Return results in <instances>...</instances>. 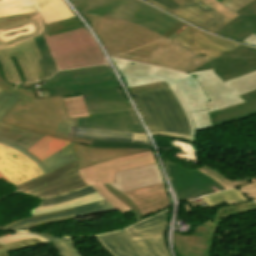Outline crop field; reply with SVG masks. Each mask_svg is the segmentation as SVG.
Returning a JSON list of instances; mask_svg holds the SVG:
<instances>
[{"mask_svg":"<svg viewBox=\"0 0 256 256\" xmlns=\"http://www.w3.org/2000/svg\"><path fill=\"white\" fill-rule=\"evenodd\" d=\"M108 54L186 73L209 62L170 40L187 24L179 21L164 36L122 20L84 15Z\"/></svg>","mask_w":256,"mask_h":256,"instance_id":"obj_1","label":"crop field"},{"mask_svg":"<svg viewBox=\"0 0 256 256\" xmlns=\"http://www.w3.org/2000/svg\"><path fill=\"white\" fill-rule=\"evenodd\" d=\"M111 59L127 87L166 81L176 96L201 85L210 101L207 103L208 110L190 113L195 125V140L197 130L212 127L210 112L245 102L238 95L256 89V71L223 82L213 69L185 74L152 65L112 57ZM191 74H196V79L191 77Z\"/></svg>","mask_w":256,"mask_h":256,"instance_id":"obj_2","label":"crop field"},{"mask_svg":"<svg viewBox=\"0 0 256 256\" xmlns=\"http://www.w3.org/2000/svg\"><path fill=\"white\" fill-rule=\"evenodd\" d=\"M78 20L47 29L40 14L31 13L0 19V89L10 93L22 82L10 57H15L26 82L45 79L37 60L42 59L34 37L82 28Z\"/></svg>","mask_w":256,"mask_h":256,"instance_id":"obj_3","label":"crop field"},{"mask_svg":"<svg viewBox=\"0 0 256 256\" xmlns=\"http://www.w3.org/2000/svg\"><path fill=\"white\" fill-rule=\"evenodd\" d=\"M13 92L23 97L0 122L91 147L92 140L74 138L78 118H68L61 96L36 99L33 91L19 87H16Z\"/></svg>","mask_w":256,"mask_h":256,"instance_id":"obj_4","label":"crop field"},{"mask_svg":"<svg viewBox=\"0 0 256 256\" xmlns=\"http://www.w3.org/2000/svg\"><path fill=\"white\" fill-rule=\"evenodd\" d=\"M152 134H169L189 139L186 113L166 82L128 88Z\"/></svg>","mask_w":256,"mask_h":256,"instance_id":"obj_5","label":"crop field"},{"mask_svg":"<svg viewBox=\"0 0 256 256\" xmlns=\"http://www.w3.org/2000/svg\"><path fill=\"white\" fill-rule=\"evenodd\" d=\"M84 14L122 19L164 35L178 20L138 0H71Z\"/></svg>","mask_w":256,"mask_h":256,"instance_id":"obj_6","label":"crop field"},{"mask_svg":"<svg viewBox=\"0 0 256 256\" xmlns=\"http://www.w3.org/2000/svg\"><path fill=\"white\" fill-rule=\"evenodd\" d=\"M44 37L59 70L106 63L101 49L85 28Z\"/></svg>","mask_w":256,"mask_h":256,"instance_id":"obj_7","label":"crop field"},{"mask_svg":"<svg viewBox=\"0 0 256 256\" xmlns=\"http://www.w3.org/2000/svg\"><path fill=\"white\" fill-rule=\"evenodd\" d=\"M157 163L152 152L126 156L80 170L81 179L91 185L107 202L120 212L129 210L124 203L110 193L102 184L113 182L115 172Z\"/></svg>","mask_w":256,"mask_h":256,"instance_id":"obj_8","label":"crop field"},{"mask_svg":"<svg viewBox=\"0 0 256 256\" xmlns=\"http://www.w3.org/2000/svg\"><path fill=\"white\" fill-rule=\"evenodd\" d=\"M83 186L86 184L79 177L76 160L17 188L18 191L35 197H46Z\"/></svg>","mask_w":256,"mask_h":256,"instance_id":"obj_9","label":"crop field"},{"mask_svg":"<svg viewBox=\"0 0 256 256\" xmlns=\"http://www.w3.org/2000/svg\"><path fill=\"white\" fill-rule=\"evenodd\" d=\"M165 166L176 196L181 202L225 190L220 184L197 170L190 172L168 161Z\"/></svg>","mask_w":256,"mask_h":256,"instance_id":"obj_10","label":"crop field"},{"mask_svg":"<svg viewBox=\"0 0 256 256\" xmlns=\"http://www.w3.org/2000/svg\"><path fill=\"white\" fill-rule=\"evenodd\" d=\"M49 85L48 91L53 96L70 95V87L116 82L112 71L108 65H101L96 67L83 68L78 70L60 71L52 78L47 79Z\"/></svg>","mask_w":256,"mask_h":256,"instance_id":"obj_11","label":"crop field"},{"mask_svg":"<svg viewBox=\"0 0 256 256\" xmlns=\"http://www.w3.org/2000/svg\"><path fill=\"white\" fill-rule=\"evenodd\" d=\"M115 256H166L159 236L132 239L126 230L98 236Z\"/></svg>","mask_w":256,"mask_h":256,"instance_id":"obj_12","label":"crop field"},{"mask_svg":"<svg viewBox=\"0 0 256 256\" xmlns=\"http://www.w3.org/2000/svg\"><path fill=\"white\" fill-rule=\"evenodd\" d=\"M210 68H213L223 81L254 71L256 49L242 45L194 71Z\"/></svg>","mask_w":256,"mask_h":256,"instance_id":"obj_13","label":"crop field"},{"mask_svg":"<svg viewBox=\"0 0 256 256\" xmlns=\"http://www.w3.org/2000/svg\"><path fill=\"white\" fill-rule=\"evenodd\" d=\"M172 41L192 50L209 61L240 46L232 41L200 32L189 25Z\"/></svg>","mask_w":256,"mask_h":256,"instance_id":"obj_14","label":"crop field"},{"mask_svg":"<svg viewBox=\"0 0 256 256\" xmlns=\"http://www.w3.org/2000/svg\"><path fill=\"white\" fill-rule=\"evenodd\" d=\"M77 127L146 134L134 110L92 114L79 118Z\"/></svg>","mask_w":256,"mask_h":256,"instance_id":"obj_15","label":"crop field"},{"mask_svg":"<svg viewBox=\"0 0 256 256\" xmlns=\"http://www.w3.org/2000/svg\"><path fill=\"white\" fill-rule=\"evenodd\" d=\"M145 1L211 33L230 21L215 13L213 10L202 4L199 0H187L189 2L188 4L173 11H170L152 0Z\"/></svg>","mask_w":256,"mask_h":256,"instance_id":"obj_16","label":"crop field"},{"mask_svg":"<svg viewBox=\"0 0 256 256\" xmlns=\"http://www.w3.org/2000/svg\"><path fill=\"white\" fill-rule=\"evenodd\" d=\"M0 172L14 186L44 175L27 157L3 145H0Z\"/></svg>","mask_w":256,"mask_h":256,"instance_id":"obj_17","label":"crop field"},{"mask_svg":"<svg viewBox=\"0 0 256 256\" xmlns=\"http://www.w3.org/2000/svg\"><path fill=\"white\" fill-rule=\"evenodd\" d=\"M203 224L205 226H197V230L192 236L175 234V246L181 256H209L217 225L213 224L212 221Z\"/></svg>","mask_w":256,"mask_h":256,"instance_id":"obj_18","label":"crop field"},{"mask_svg":"<svg viewBox=\"0 0 256 256\" xmlns=\"http://www.w3.org/2000/svg\"><path fill=\"white\" fill-rule=\"evenodd\" d=\"M138 208L142 217L163 210L169 205L165 183L122 193Z\"/></svg>","mask_w":256,"mask_h":256,"instance_id":"obj_19","label":"crop field"},{"mask_svg":"<svg viewBox=\"0 0 256 256\" xmlns=\"http://www.w3.org/2000/svg\"><path fill=\"white\" fill-rule=\"evenodd\" d=\"M161 172L157 164L137 169L118 172L111 183L120 192L163 183Z\"/></svg>","mask_w":256,"mask_h":256,"instance_id":"obj_20","label":"crop field"},{"mask_svg":"<svg viewBox=\"0 0 256 256\" xmlns=\"http://www.w3.org/2000/svg\"><path fill=\"white\" fill-rule=\"evenodd\" d=\"M113 210H115V208H113L110 204H108L105 200H103V201H99V202H95L87 205H82L78 207L56 211V212L45 214V215L20 219L14 223H11L1 228L10 229V230H23L41 221H46V220L60 218V217L69 216V215H72L74 219V217H78V216L108 212Z\"/></svg>","mask_w":256,"mask_h":256,"instance_id":"obj_21","label":"crop field"},{"mask_svg":"<svg viewBox=\"0 0 256 256\" xmlns=\"http://www.w3.org/2000/svg\"><path fill=\"white\" fill-rule=\"evenodd\" d=\"M218 2L221 0H217ZM237 13L240 15L216 30L214 33L242 42L256 32V0L248 4Z\"/></svg>","mask_w":256,"mask_h":256,"instance_id":"obj_22","label":"crop field"},{"mask_svg":"<svg viewBox=\"0 0 256 256\" xmlns=\"http://www.w3.org/2000/svg\"><path fill=\"white\" fill-rule=\"evenodd\" d=\"M43 136L14 128L0 123V144L8 146L30 158L44 174L47 169L25 150L40 140Z\"/></svg>","mask_w":256,"mask_h":256,"instance_id":"obj_23","label":"crop field"},{"mask_svg":"<svg viewBox=\"0 0 256 256\" xmlns=\"http://www.w3.org/2000/svg\"><path fill=\"white\" fill-rule=\"evenodd\" d=\"M78 159V169H83L114 158L149 151L151 149H91L87 145L72 146Z\"/></svg>","mask_w":256,"mask_h":256,"instance_id":"obj_24","label":"crop field"},{"mask_svg":"<svg viewBox=\"0 0 256 256\" xmlns=\"http://www.w3.org/2000/svg\"><path fill=\"white\" fill-rule=\"evenodd\" d=\"M248 102L210 114L213 127L243 120L256 115V90L240 95Z\"/></svg>","mask_w":256,"mask_h":256,"instance_id":"obj_25","label":"crop field"},{"mask_svg":"<svg viewBox=\"0 0 256 256\" xmlns=\"http://www.w3.org/2000/svg\"><path fill=\"white\" fill-rule=\"evenodd\" d=\"M47 28L76 20L62 0H35Z\"/></svg>","mask_w":256,"mask_h":256,"instance_id":"obj_26","label":"crop field"},{"mask_svg":"<svg viewBox=\"0 0 256 256\" xmlns=\"http://www.w3.org/2000/svg\"><path fill=\"white\" fill-rule=\"evenodd\" d=\"M72 93H82L85 102L124 100L118 83H105L71 88Z\"/></svg>","mask_w":256,"mask_h":256,"instance_id":"obj_27","label":"crop field"},{"mask_svg":"<svg viewBox=\"0 0 256 256\" xmlns=\"http://www.w3.org/2000/svg\"><path fill=\"white\" fill-rule=\"evenodd\" d=\"M75 137L106 141L135 142L148 144L146 135L89 130L81 128H77Z\"/></svg>","mask_w":256,"mask_h":256,"instance_id":"obj_28","label":"crop field"},{"mask_svg":"<svg viewBox=\"0 0 256 256\" xmlns=\"http://www.w3.org/2000/svg\"><path fill=\"white\" fill-rule=\"evenodd\" d=\"M178 100L181 102L183 105L187 116L190 121L191 129H192V134L190 140L194 141V126L192 119L190 117L189 112H195V111H201L207 109L206 102L209 101L208 97L204 93L203 89L201 86L190 90L186 93H183L179 96H177Z\"/></svg>","mask_w":256,"mask_h":256,"instance_id":"obj_29","label":"crop field"},{"mask_svg":"<svg viewBox=\"0 0 256 256\" xmlns=\"http://www.w3.org/2000/svg\"><path fill=\"white\" fill-rule=\"evenodd\" d=\"M202 173L206 174L207 176L211 177L215 181L219 182L223 187L226 189L236 187V185L247 182L249 180L255 179L256 176L254 177H248L240 180H235L232 181L223 175H221L219 172L216 170L212 169L211 167L207 165H203L201 168L198 169ZM241 191L247 195V197L252 198L253 200L256 201V183L249 184L243 187H240Z\"/></svg>","mask_w":256,"mask_h":256,"instance_id":"obj_30","label":"crop field"},{"mask_svg":"<svg viewBox=\"0 0 256 256\" xmlns=\"http://www.w3.org/2000/svg\"><path fill=\"white\" fill-rule=\"evenodd\" d=\"M69 143L70 141L44 136L39 142L26 151L31 153L37 159L43 160L58 150L64 148Z\"/></svg>","mask_w":256,"mask_h":256,"instance_id":"obj_31","label":"crop field"},{"mask_svg":"<svg viewBox=\"0 0 256 256\" xmlns=\"http://www.w3.org/2000/svg\"><path fill=\"white\" fill-rule=\"evenodd\" d=\"M38 12L33 0H0V18Z\"/></svg>","mask_w":256,"mask_h":256,"instance_id":"obj_32","label":"crop field"},{"mask_svg":"<svg viewBox=\"0 0 256 256\" xmlns=\"http://www.w3.org/2000/svg\"><path fill=\"white\" fill-rule=\"evenodd\" d=\"M36 45L42 55L43 60L38 61L40 64V67L45 74L46 78L51 77L55 71H57V67L55 65V62L53 60V57L50 53V50L43 38V36H39L34 38Z\"/></svg>","mask_w":256,"mask_h":256,"instance_id":"obj_33","label":"crop field"},{"mask_svg":"<svg viewBox=\"0 0 256 256\" xmlns=\"http://www.w3.org/2000/svg\"><path fill=\"white\" fill-rule=\"evenodd\" d=\"M102 199L103 198L97 192H95L90 195L84 196L82 198L75 199V200L65 202L62 204L49 206V207H43V208H35L30 211V214H31V216L45 214V213H49L52 211L69 208V207H73V206H78V205H82V204H86V203H90V202H94V201H98V200H102Z\"/></svg>","mask_w":256,"mask_h":256,"instance_id":"obj_34","label":"crop field"},{"mask_svg":"<svg viewBox=\"0 0 256 256\" xmlns=\"http://www.w3.org/2000/svg\"><path fill=\"white\" fill-rule=\"evenodd\" d=\"M256 210V202L249 201L245 203H240V204H235V205H226V206H221L218 209V213L214 219V223L220 224L222 221L225 219L237 215L240 213L248 212Z\"/></svg>","mask_w":256,"mask_h":256,"instance_id":"obj_35","label":"crop field"},{"mask_svg":"<svg viewBox=\"0 0 256 256\" xmlns=\"http://www.w3.org/2000/svg\"><path fill=\"white\" fill-rule=\"evenodd\" d=\"M75 143L72 142L64 149L60 150L59 152L53 154L52 156L48 157L47 159L41 161L50 171L59 168L71 161L76 160V157L73 153L71 148L72 145Z\"/></svg>","mask_w":256,"mask_h":256,"instance_id":"obj_36","label":"crop field"},{"mask_svg":"<svg viewBox=\"0 0 256 256\" xmlns=\"http://www.w3.org/2000/svg\"><path fill=\"white\" fill-rule=\"evenodd\" d=\"M208 207L227 201L231 204L249 201L238 189H233L204 197Z\"/></svg>","mask_w":256,"mask_h":256,"instance_id":"obj_37","label":"crop field"},{"mask_svg":"<svg viewBox=\"0 0 256 256\" xmlns=\"http://www.w3.org/2000/svg\"><path fill=\"white\" fill-rule=\"evenodd\" d=\"M35 235H40L51 242L60 252L61 256H81L76 248L72 245L68 238H55L39 233L28 232Z\"/></svg>","mask_w":256,"mask_h":256,"instance_id":"obj_38","label":"crop field"},{"mask_svg":"<svg viewBox=\"0 0 256 256\" xmlns=\"http://www.w3.org/2000/svg\"><path fill=\"white\" fill-rule=\"evenodd\" d=\"M92 192H95V190L90 186V187L75 190V191H72V192H69L67 194L57 196V197L41 199L42 201L40 203V206H38V207L49 206V205L62 203V202H65V201H69V200H72V199H75V198L82 197V196L90 194Z\"/></svg>","mask_w":256,"mask_h":256,"instance_id":"obj_39","label":"crop field"},{"mask_svg":"<svg viewBox=\"0 0 256 256\" xmlns=\"http://www.w3.org/2000/svg\"><path fill=\"white\" fill-rule=\"evenodd\" d=\"M86 105L89 113L107 112L132 108L130 103L126 101L86 103Z\"/></svg>","mask_w":256,"mask_h":256,"instance_id":"obj_40","label":"crop field"},{"mask_svg":"<svg viewBox=\"0 0 256 256\" xmlns=\"http://www.w3.org/2000/svg\"><path fill=\"white\" fill-rule=\"evenodd\" d=\"M70 118L87 117L86 105L81 96L63 99Z\"/></svg>","mask_w":256,"mask_h":256,"instance_id":"obj_41","label":"crop field"},{"mask_svg":"<svg viewBox=\"0 0 256 256\" xmlns=\"http://www.w3.org/2000/svg\"><path fill=\"white\" fill-rule=\"evenodd\" d=\"M166 231V223L131 231L130 234L133 236V238H138V237H147V236H155V235H160L163 248L167 254V256H170L168 253V250L165 245V240H164V234Z\"/></svg>","mask_w":256,"mask_h":256,"instance_id":"obj_42","label":"crop field"},{"mask_svg":"<svg viewBox=\"0 0 256 256\" xmlns=\"http://www.w3.org/2000/svg\"><path fill=\"white\" fill-rule=\"evenodd\" d=\"M44 244L37 239L26 240L22 242H17L13 244H8L0 247V256H10L7 252L20 250L28 247H33L37 245Z\"/></svg>","mask_w":256,"mask_h":256,"instance_id":"obj_43","label":"crop field"},{"mask_svg":"<svg viewBox=\"0 0 256 256\" xmlns=\"http://www.w3.org/2000/svg\"><path fill=\"white\" fill-rule=\"evenodd\" d=\"M20 98L21 96L12 92L9 95L3 91L0 93V119L17 103Z\"/></svg>","mask_w":256,"mask_h":256,"instance_id":"obj_44","label":"crop field"},{"mask_svg":"<svg viewBox=\"0 0 256 256\" xmlns=\"http://www.w3.org/2000/svg\"><path fill=\"white\" fill-rule=\"evenodd\" d=\"M31 238H37L42 242H44L45 244L49 243L47 240L41 238L40 236H34L28 233L16 232V233L0 236V245L22 241L26 239H31Z\"/></svg>","mask_w":256,"mask_h":256,"instance_id":"obj_45","label":"crop field"},{"mask_svg":"<svg viewBox=\"0 0 256 256\" xmlns=\"http://www.w3.org/2000/svg\"><path fill=\"white\" fill-rule=\"evenodd\" d=\"M92 148H150L149 145L93 140Z\"/></svg>","mask_w":256,"mask_h":256,"instance_id":"obj_46","label":"crop field"},{"mask_svg":"<svg viewBox=\"0 0 256 256\" xmlns=\"http://www.w3.org/2000/svg\"><path fill=\"white\" fill-rule=\"evenodd\" d=\"M203 2L205 5L216 11L217 13L229 18V19H234L235 17L238 16V14L220 6L215 0H200Z\"/></svg>","mask_w":256,"mask_h":256,"instance_id":"obj_47","label":"crop field"},{"mask_svg":"<svg viewBox=\"0 0 256 256\" xmlns=\"http://www.w3.org/2000/svg\"><path fill=\"white\" fill-rule=\"evenodd\" d=\"M105 186L108 188V190L110 192H112L115 196H117L121 201H123L128 207H130L132 209V211L135 214L137 222L142 221L137 207L131 201H129L127 198H125L122 194H120V192H118L116 189H114L109 184H105Z\"/></svg>","mask_w":256,"mask_h":256,"instance_id":"obj_48","label":"crop field"},{"mask_svg":"<svg viewBox=\"0 0 256 256\" xmlns=\"http://www.w3.org/2000/svg\"><path fill=\"white\" fill-rule=\"evenodd\" d=\"M167 219V216L165 213H162V214H159V215H156L154 217H151L133 227H130V228H127L128 231L130 230H134V229H138V228H142V227H146V226H150V225H154V224H158V223H162V222H165Z\"/></svg>","mask_w":256,"mask_h":256,"instance_id":"obj_49","label":"crop field"},{"mask_svg":"<svg viewBox=\"0 0 256 256\" xmlns=\"http://www.w3.org/2000/svg\"><path fill=\"white\" fill-rule=\"evenodd\" d=\"M253 0H224L220 2L226 8L236 12Z\"/></svg>","mask_w":256,"mask_h":256,"instance_id":"obj_50","label":"crop field"},{"mask_svg":"<svg viewBox=\"0 0 256 256\" xmlns=\"http://www.w3.org/2000/svg\"><path fill=\"white\" fill-rule=\"evenodd\" d=\"M154 1H156V2H158V3H160V4H162L163 6L169 8V9H171V10H173V9H175V8H177V7H179V5H177V4H176L174 1H172V0H154Z\"/></svg>","mask_w":256,"mask_h":256,"instance_id":"obj_51","label":"crop field"},{"mask_svg":"<svg viewBox=\"0 0 256 256\" xmlns=\"http://www.w3.org/2000/svg\"><path fill=\"white\" fill-rule=\"evenodd\" d=\"M72 217L69 216V217H64V218H60V219H55V220H50V221H46V222H41V223H38L32 227H36V226H41V225H46V224H50V223H55V222H60V221H65V220H71ZM30 227V228H32ZM30 228L24 230V231H30Z\"/></svg>","mask_w":256,"mask_h":256,"instance_id":"obj_52","label":"crop field"},{"mask_svg":"<svg viewBox=\"0 0 256 256\" xmlns=\"http://www.w3.org/2000/svg\"><path fill=\"white\" fill-rule=\"evenodd\" d=\"M243 43H247L253 46H256V36L253 34L250 37H248L246 40L243 41Z\"/></svg>","mask_w":256,"mask_h":256,"instance_id":"obj_53","label":"crop field"},{"mask_svg":"<svg viewBox=\"0 0 256 256\" xmlns=\"http://www.w3.org/2000/svg\"><path fill=\"white\" fill-rule=\"evenodd\" d=\"M32 85H41V84H40V81H38L36 83H31V84H23V83L18 84V86L23 87V88H27V89H30V90H33Z\"/></svg>","mask_w":256,"mask_h":256,"instance_id":"obj_54","label":"crop field"},{"mask_svg":"<svg viewBox=\"0 0 256 256\" xmlns=\"http://www.w3.org/2000/svg\"><path fill=\"white\" fill-rule=\"evenodd\" d=\"M177 4H179L180 6L188 3L186 0H174Z\"/></svg>","mask_w":256,"mask_h":256,"instance_id":"obj_55","label":"crop field"},{"mask_svg":"<svg viewBox=\"0 0 256 256\" xmlns=\"http://www.w3.org/2000/svg\"><path fill=\"white\" fill-rule=\"evenodd\" d=\"M0 177H2L4 180H6L8 183H10L1 173H0Z\"/></svg>","mask_w":256,"mask_h":256,"instance_id":"obj_56","label":"crop field"},{"mask_svg":"<svg viewBox=\"0 0 256 256\" xmlns=\"http://www.w3.org/2000/svg\"><path fill=\"white\" fill-rule=\"evenodd\" d=\"M2 90H0V92H1Z\"/></svg>","mask_w":256,"mask_h":256,"instance_id":"obj_57","label":"crop field"},{"mask_svg":"<svg viewBox=\"0 0 256 256\" xmlns=\"http://www.w3.org/2000/svg\"><path fill=\"white\" fill-rule=\"evenodd\" d=\"M254 34H256V33H254Z\"/></svg>","mask_w":256,"mask_h":256,"instance_id":"obj_58","label":"crop field"}]
</instances>
